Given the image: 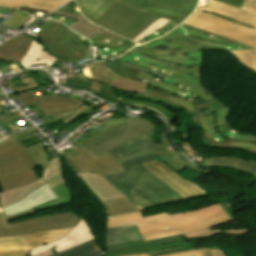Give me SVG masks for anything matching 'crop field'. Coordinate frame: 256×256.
<instances>
[{
	"label": "crop field",
	"mask_w": 256,
	"mask_h": 256,
	"mask_svg": "<svg viewBox=\"0 0 256 256\" xmlns=\"http://www.w3.org/2000/svg\"><path fill=\"white\" fill-rule=\"evenodd\" d=\"M141 164L186 199H193L208 195L206 191L182 179L157 159L143 162Z\"/></svg>",
	"instance_id": "3316defc"
},
{
	"label": "crop field",
	"mask_w": 256,
	"mask_h": 256,
	"mask_svg": "<svg viewBox=\"0 0 256 256\" xmlns=\"http://www.w3.org/2000/svg\"><path fill=\"white\" fill-rule=\"evenodd\" d=\"M0 137H3V136L0 135Z\"/></svg>",
	"instance_id": "0fb4a251"
},
{
	"label": "crop field",
	"mask_w": 256,
	"mask_h": 256,
	"mask_svg": "<svg viewBox=\"0 0 256 256\" xmlns=\"http://www.w3.org/2000/svg\"><path fill=\"white\" fill-rule=\"evenodd\" d=\"M88 66L93 79L99 80L116 89L144 93L147 87L146 83L130 80L128 78L116 75L99 62L88 64Z\"/></svg>",
	"instance_id": "5142ce71"
},
{
	"label": "crop field",
	"mask_w": 256,
	"mask_h": 256,
	"mask_svg": "<svg viewBox=\"0 0 256 256\" xmlns=\"http://www.w3.org/2000/svg\"><path fill=\"white\" fill-rule=\"evenodd\" d=\"M34 209L6 218L0 213V237L19 236L49 229L69 228L82 218L75 213H59L8 224L7 220L34 213Z\"/></svg>",
	"instance_id": "e52e79f7"
},
{
	"label": "crop field",
	"mask_w": 256,
	"mask_h": 256,
	"mask_svg": "<svg viewBox=\"0 0 256 256\" xmlns=\"http://www.w3.org/2000/svg\"><path fill=\"white\" fill-rule=\"evenodd\" d=\"M116 0H76L82 14L95 22ZM139 8L142 13L182 21L193 9L198 0H118Z\"/></svg>",
	"instance_id": "412701ff"
},
{
	"label": "crop field",
	"mask_w": 256,
	"mask_h": 256,
	"mask_svg": "<svg viewBox=\"0 0 256 256\" xmlns=\"http://www.w3.org/2000/svg\"><path fill=\"white\" fill-rule=\"evenodd\" d=\"M68 0H0V5L49 13Z\"/></svg>",
	"instance_id": "214f88e0"
},
{
	"label": "crop field",
	"mask_w": 256,
	"mask_h": 256,
	"mask_svg": "<svg viewBox=\"0 0 256 256\" xmlns=\"http://www.w3.org/2000/svg\"><path fill=\"white\" fill-rule=\"evenodd\" d=\"M185 240L186 239L183 237V235H180V236H174V237H169L164 239L147 241L146 244H143V245L132 246V247H127V248H123V249H119L111 252H106L103 254V256H121L125 254H134V253H150L147 246L167 244V243L185 241ZM136 242H139V241H136ZM130 243H134V242H130ZM124 244H128V243H124ZM119 245H123V244H119ZM114 246H118V245H114ZM108 247H113V246H108Z\"/></svg>",
	"instance_id": "a9b5d70f"
},
{
	"label": "crop field",
	"mask_w": 256,
	"mask_h": 256,
	"mask_svg": "<svg viewBox=\"0 0 256 256\" xmlns=\"http://www.w3.org/2000/svg\"><path fill=\"white\" fill-rule=\"evenodd\" d=\"M6 137H3V138H0V140H3V139H5Z\"/></svg>",
	"instance_id": "1f2cbd36"
},
{
	"label": "crop field",
	"mask_w": 256,
	"mask_h": 256,
	"mask_svg": "<svg viewBox=\"0 0 256 256\" xmlns=\"http://www.w3.org/2000/svg\"><path fill=\"white\" fill-rule=\"evenodd\" d=\"M179 245H185V243L177 242V243H172V244H167V245L151 246V247H149V249L155 250V249H161V248H167V247H173V246H179Z\"/></svg>",
	"instance_id": "c21b1889"
},
{
	"label": "crop field",
	"mask_w": 256,
	"mask_h": 256,
	"mask_svg": "<svg viewBox=\"0 0 256 256\" xmlns=\"http://www.w3.org/2000/svg\"><path fill=\"white\" fill-rule=\"evenodd\" d=\"M0 212H3L1 208H0Z\"/></svg>",
	"instance_id": "dbb93151"
},
{
	"label": "crop field",
	"mask_w": 256,
	"mask_h": 256,
	"mask_svg": "<svg viewBox=\"0 0 256 256\" xmlns=\"http://www.w3.org/2000/svg\"><path fill=\"white\" fill-rule=\"evenodd\" d=\"M23 82L12 86L13 89H15V91H20V90H25L29 87H38L37 84L35 83V81L32 79V77L26 78V79H22ZM29 81L28 84H26L25 82Z\"/></svg>",
	"instance_id": "028f5c9d"
},
{
	"label": "crop field",
	"mask_w": 256,
	"mask_h": 256,
	"mask_svg": "<svg viewBox=\"0 0 256 256\" xmlns=\"http://www.w3.org/2000/svg\"><path fill=\"white\" fill-rule=\"evenodd\" d=\"M109 153L124 170L140 162L156 158L147 134L131 140Z\"/></svg>",
	"instance_id": "5a996713"
},
{
	"label": "crop field",
	"mask_w": 256,
	"mask_h": 256,
	"mask_svg": "<svg viewBox=\"0 0 256 256\" xmlns=\"http://www.w3.org/2000/svg\"><path fill=\"white\" fill-rule=\"evenodd\" d=\"M0 207H1V205H0Z\"/></svg>",
	"instance_id": "9d1cf04e"
},
{
	"label": "crop field",
	"mask_w": 256,
	"mask_h": 256,
	"mask_svg": "<svg viewBox=\"0 0 256 256\" xmlns=\"http://www.w3.org/2000/svg\"><path fill=\"white\" fill-rule=\"evenodd\" d=\"M94 238L84 219L67 236L32 250L31 255L52 248L55 253ZM30 255V256H31Z\"/></svg>",
	"instance_id": "d9b57169"
},
{
	"label": "crop field",
	"mask_w": 256,
	"mask_h": 256,
	"mask_svg": "<svg viewBox=\"0 0 256 256\" xmlns=\"http://www.w3.org/2000/svg\"><path fill=\"white\" fill-rule=\"evenodd\" d=\"M136 224L107 229L106 246L124 242L142 240Z\"/></svg>",
	"instance_id": "dafd665d"
},
{
	"label": "crop field",
	"mask_w": 256,
	"mask_h": 256,
	"mask_svg": "<svg viewBox=\"0 0 256 256\" xmlns=\"http://www.w3.org/2000/svg\"><path fill=\"white\" fill-rule=\"evenodd\" d=\"M38 77L40 78L43 85L47 84V86L54 84L53 79L50 77V75L47 72L40 71L37 72Z\"/></svg>",
	"instance_id": "e1f06a70"
},
{
	"label": "crop field",
	"mask_w": 256,
	"mask_h": 256,
	"mask_svg": "<svg viewBox=\"0 0 256 256\" xmlns=\"http://www.w3.org/2000/svg\"><path fill=\"white\" fill-rule=\"evenodd\" d=\"M61 177H63V176H60L48 183L36 188L32 192L25 195L27 198L15 203L11 206L2 208L6 217L23 212V211L30 210L32 208H36L40 205H43L45 203H48L52 200L57 199V196L54 194V192L51 190L50 187L60 183ZM63 181H65L64 178H63Z\"/></svg>",
	"instance_id": "cbeb9de0"
},
{
	"label": "crop field",
	"mask_w": 256,
	"mask_h": 256,
	"mask_svg": "<svg viewBox=\"0 0 256 256\" xmlns=\"http://www.w3.org/2000/svg\"><path fill=\"white\" fill-rule=\"evenodd\" d=\"M64 157L77 175L86 171L107 175H115L124 171L108 152L95 157L83 145Z\"/></svg>",
	"instance_id": "d8731c3e"
},
{
	"label": "crop field",
	"mask_w": 256,
	"mask_h": 256,
	"mask_svg": "<svg viewBox=\"0 0 256 256\" xmlns=\"http://www.w3.org/2000/svg\"><path fill=\"white\" fill-rule=\"evenodd\" d=\"M184 24H188L256 49V14L235 6L207 0Z\"/></svg>",
	"instance_id": "ac0d7876"
},
{
	"label": "crop field",
	"mask_w": 256,
	"mask_h": 256,
	"mask_svg": "<svg viewBox=\"0 0 256 256\" xmlns=\"http://www.w3.org/2000/svg\"><path fill=\"white\" fill-rule=\"evenodd\" d=\"M27 149H28L35 165L36 166H41L42 171H43L44 168H45V165L47 163V160H46V157H45V153H44L42 144L39 143V144L30 146Z\"/></svg>",
	"instance_id": "d32e631a"
},
{
	"label": "crop field",
	"mask_w": 256,
	"mask_h": 256,
	"mask_svg": "<svg viewBox=\"0 0 256 256\" xmlns=\"http://www.w3.org/2000/svg\"><path fill=\"white\" fill-rule=\"evenodd\" d=\"M54 14L67 16V17H72V18L77 19L78 21L71 24V26H69V27L73 28L74 30L78 31L79 33L83 34L84 36H86L88 38L90 36L94 35L95 33L102 30V28L90 23L89 21H87L83 17L68 14V13H64V12H60V11H56V12H54Z\"/></svg>",
	"instance_id": "ae1a2a85"
},
{
	"label": "crop field",
	"mask_w": 256,
	"mask_h": 256,
	"mask_svg": "<svg viewBox=\"0 0 256 256\" xmlns=\"http://www.w3.org/2000/svg\"><path fill=\"white\" fill-rule=\"evenodd\" d=\"M249 230L250 229L222 230L221 231L220 228L213 229V230H211L209 228V229H205V230H201V231L185 234L184 237L187 240H189V239L208 237V236H212V235H215V234H218V233H221V232L228 233L230 235H243V234L249 232Z\"/></svg>",
	"instance_id": "750c4746"
},
{
	"label": "crop field",
	"mask_w": 256,
	"mask_h": 256,
	"mask_svg": "<svg viewBox=\"0 0 256 256\" xmlns=\"http://www.w3.org/2000/svg\"><path fill=\"white\" fill-rule=\"evenodd\" d=\"M143 243H145V242L143 241V242H139V243H135V244H129V245H123V246H118V247H113V248H107V249H105L104 252L110 251V250H114V249H118V248H122V247H127V246H132V245L143 244Z\"/></svg>",
	"instance_id": "d23c7cc5"
},
{
	"label": "crop field",
	"mask_w": 256,
	"mask_h": 256,
	"mask_svg": "<svg viewBox=\"0 0 256 256\" xmlns=\"http://www.w3.org/2000/svg\"><path fill=\"white\" fill-rule=\"evenodd\" d=\"M153 129H155V126L152 123H150L149 121L144 119L140 124H138L136 126V128L134 130H132L127 135L118 137L100 147H97V148L91 150L90 152L93 153L95 156H97V155L104 153L106 151H109V150L131 140V139H134L136 137L144 135V134L152 131Z\"/></svg>",
	"instance_id": "92a150f3"
},
{
	"label": "crop field",
	"mask_w": 256,
	"mask_h": 256,
	"mask_svg": "<svg viewBox=\"0 0 256 256\" xmlns=\"http://www.w3.org/2000/svg\"><path fill=\"white\" fill-rule=\"evenodd\" d=\"M140 12L116 1L95 24L131 40L157 19Z\"/></svg>",
	"instance_id": "dd49c442"
},
{
	"label": "crop field",
	"mask_w": 256,
	"mask_h": 256,
	"mask_svg": "<svg viewBox=\"0 0 256 256\" xmlns=\"http://www.w3.org/2000/svg\"><path fill=\"white\" fill-rule=\"evenodd\" d=\"M54 254L53 250L50 249V250H47V251H44V252H41V253H38L36 255H33V256H50Z\"/></svg>",
	"instance_id": "5d738f31"
},
{
	"label": "crop field",
	"mask_w": 256,
	"mask_h": 256,
	"mask_svg": "<svg viewBox=\"0 0 256 256\" xmlns=\"http://www.w3.org/2000/svg\"><path fill=\"white\" fill-rule=\"evenodd\" d=\"M126 256H150V254H135ZM160 256H215V253L213 249L210 248H199Z\"/></svg>",
	"instance_id": "1d83c4d3"
},
{
	"label": "crop field",
	"mask_w": 256,
	"mask_h": 256,
	"mask_svg": "<svg viewBox=\"0 0 256 256\" xmlns=\"http://www.w3.org/2000/svg\"><path fill=\"white\" fill-rule=\"evenodd\" d=\"M44 182L41 181L40 179L19 187V188H15V189H11V190H7V191H3L2 193H0V203L3 206H7L10 205L18 200H21L23 198H25V194H27L28 192H30L31 190L35 189L36 187H38L39 185L43 184Z\"/></svg>",
	"instance_id": "eef30255"
},
{
	"label": "crop field",
	"mask_w": 256,
	"mask_h": 256,
	"mask_svg": "<svg viewBox=\"0 0 256 256\" xmlns=\"http://www.w3.org/2000/svg\"><path fill=\"white\" fill-rule=\"evenodd\" d=\"M102 176L140 210L154 205L184 200L182 196L141 164L117 176Z\"/></svg>",
	"instance_id": "34b2d1b8"
},
{
	"label": "crop field",
	"mask_w": 256,
	"mask_h": 256,
	"mask_svg": "<svg viewBox=\"0 0 256 256\" xmlns=\"http://www.w3.org/2000/svg\"><path fill=\"white\" fill-rule=\"evenodd\" d=\"M127 123H123L117 125L115 127L109 128L105 131H101L91 137L87 138L86 140L80 142L89 150L109 141L118 136L126 134Z\"/></svg>",
	"instance_id": "4177f3b9"
},
{
	"label": "crop field",
	"mask_w": 256,
	"mask_h": 256,
	"mask_svg": "<svg viewBox=\"0 0 256 256\" xmlns=\"http://www.w3.org/2000/svg\"><path fill=\"white\" fill-rule=\"evenodd\" d=\"M30 251L25 252L24 250L20 251H11V252H2L0 256H28Z\"/></svg>",
	"instance_id": "b80d0937"
},
{
	"label": "crop field",
	"mask_w": 256,
	"mask_h": 256,
	"mask_svg": "<svg viewBox=\"0 0 256 256\" xmlns=\"http://www.w3.org/2000/svg\"><path fill=\"white\" fill-rule=\"evenodd\" d=\"M78 177L101 202L124 197L101 175L84 173Z\"/></svg>",
	"instance_id": "733c2abd"
},
{
	"label": "crop field",
	"mask_w": 256,
	"mask_h": 256,
	"mask_svg": "<svg viewBox=\"0 0 256 256\" xmlns=\"http://www.w3.org/2000/svg\"><path fill=\"white\" fill-rule=\"evenodd\" d=\"M72 229L73 228L57 229L27 234L19 237L0 238V252L20 249L28 251L44 243L61 238Z\"/></svg>",
	"instance_id": "d1516ede"
},
{
	"label": "crop field",
	"mask_w": 256,
	"mask_h": 256,
	"mask_svg": "<svg viewBox=\"0 0 256 256\" xmlns=\"http://www.w3.org/2000/svg\"><path fill=\"white\" fill-rule=\"evenodd\" d=\"M20 114H21L20 112H16V113L5 114L4 116L11 117V116H16V115H20ZM0 115H2L1 109H0Z\"/></svg>",
	"instance_id": "425ffa30"
},
{
	"label": "crop field",
	"mask_w": 256,
	"mask_h": 256,
	"mask_svg": "<svg viewBox=\"0 0 256 256\" xmlns=\"http://www.w3.org/2000/svg\"><path fill=\"white\" fill-rule=\"evenodd\" d=\"M48 162L49 164L42 177L40 178L45 182L63 174L59 156L53 158Z\"/></svg>",
	"instance_id": "bd1437ed"
},
{
	"label": "crop field",
	"mask_w": 256,
	"mask_h": 256,
	"mask_svg": "<svg viewBox=\"0 0 256 256\" xmlns=\"http://www.w3.org/2000/svg\"><path fill=\"white\" fill-rule=\"evenodd\" d=\"M102 248L97 245L95 239L69 248L52 256H100Z\"/></svg>",
	"instance_id": "730fd06b"
},
{
	"label": "crop field",
	"mask_w": 256,
	"mask_h": 256,
	"mask_svg": "<svg viewBox=\"0 0 256 256\" xmlns=\"http://www.w3.org/2000/svg\"><path fill=\"white\" fill-rule=\"evenodd\" d=\"M57 60V58L52 57L44 50V46L33 39L32 45L24 56V58L19 62L20 67L29 68L30 65L37 63H47V67H51L52 64Z\"/></svg>",
	"instance_id": "00972430"
},
{
	"label": "crop field",
	"mask_w": 256,
	"mask_h": 256,
	"mask_svg": "<svg viewBox=\"0 0 256 256\" xmlns=\"http://www.w3.org/2000/svg\"><path fill=\"white\" fill-rule=\"evenodd\" d=\"M123 122H125V118H123V119H114V120L105 122L104 124L101 125L102 127H100V128L102 130H105L109 127H112L114 125H117V124H120V123H123Z\"/></svg>",
	"instance_id": "0bd39190"
},
{
	"label": "crop field",
	"mask_w": 256,
	"mask_h": 256,
	"mask_svg": "<svg viewBox=\"0 0 256 256\" xmlns=\"http://www.w3.org/2000/svg\"><path fill=\"white\" fill-rule=\"evenodd\" d=\"M231 221L219 203L198 210L168 216L164 213L143 217L141 212L108 218L109 227L137 223L145 241L185 234Z\"/></svg>",
	"instance_id": "8a807250"
},
{
	"label": "crop field",
	"mask_w": 256,
	"mask_h": 256,
	"mask_svg": "<svg viewBox=\"0 0 256 256\" xmlns=\"http://www.w3.org/2000/svg\"><path fill=\"white\" fill-rule=\"evenodd\" d=\"M245 9L256 12V0H247L245 3Z\"/></svg>",
	"instance_id": "03da06ac"
},
{
	"label": "crop field",
	"mask_w": 256,
	"mask_h": 256,
	"mask_svg": "<svg viewBox=\"0 0 256 256\" xmlns=\"http://www.w3.org/2000/svg\"><path fill=\"white\" fill-rule=\"evenodd\" d=\"M39 179L26 148L13 140L0 146V185L3 190Z\"/></svg>",
	"instance_id": "f4fd0767"
},
{
	"label": "crop field",
	"mask_w": 256,
	"mask_h": 256,
	"mask_svg": "<svg viewBox=\"0 0 256 256\" xmlns=\"http://www.w3.org/2000/svg\"><path fill=\"white\" fill-rule=\"evenodd\" d=\"M11 107V106H10ZM3 108H5V107H3Z\"/></svg>",
	"instance_id": "1d79db26"
},
{
	"label": "crop field",
	"mask_w": 256,
	"mask_h": 256,
	"mask_svg": "<svg viewBox=\"0 0 256 256\" xmlns=\"http://www.w3.org/2000/svg\"><path fill=\"white\" fill-rule=\"evenodd\" d=\"M103 205L107 211L108 216H115L139 210L126 198L105 202Z\"/></svg>",
	"instance_id": "d3111659"
},
{
	"label": "crop field",
	"mask_w": 256,
	"mask_h": 256,
	"mask_svg": "<svg viewBox=\"0 0 256 256\" xmlns=\"http://www.w3.org/2000/svg\"><path fill=\"white\" fill-rule=\"evenodd\" d=\"M238 61L256 72V50L231 52Z\"/></svg>",
	"instance_id": "120bbe31"
},
{
	"label": "crop field",
	"mask_w": 256,
	"mask_h": 256,
	"mask_svg": "<svg viewBox=\"0 0 256 256\" xmlns=\"http://www.w3.org/2000/svg\"><path fill=\"white\" fill-rule=\"evenodd\" d=\"M32 37L21 33L0 46V61L18 63L29 49Z\"/></svg>",
	"instance_id": "4a817a6b"
},
{
	"label": "crop field",
	"mask_w": 256,
	"mask_h": 256,
	"mask_svg": "<svg viewBox=\"0 0 256 256\" xmlns=\"http://www.w3.org/2000/svg\"><path fill=\"white\" fill-rule=\"evenodd\" d=\"M0 96H5L4 93H0Z\"/></svg>",
	"instance_id": "89e229c0"
},
{
	"label": "crop field",
	"mask_w": 256,
	"mask_h": 256,
	"mask_svg": "<svg viewBox=\"0 0 256 256\" xmlns=\"http://www.w3.org/2000/svg\"><path fill=\"white\" fill-rule=\"evenodd\" d=\"M199 164V163H198ZM203 166L230 168L256 176V160L237 157H210L205 159Z\"/></svg>",
	"instance_id": "bc2a9ffb"
},
{
	"label": "crop field",
	"mask_w": 256,
	"mask_h": 256,
	"mask_svg": "<svg viewBox=\"0 0 256 256\" xmlns=\"http://www.w3.org/2000/svg\"><path fill=\"white\" fill-rule=\"evenodd\" d=\"M214 251H215V253H216V256H225V255L223 254V252H221L220 250H215V249H214Z\"/></svg>",
	"instance_id": "25e5ab78"
},
{
	"label": "crop field",
	"mask_w": 256,
	"mask_h": 256,
	"mask_svg": "<svg viewBox=\"0 0 256 256\" xmlns=\"http://www.w3.org/2000/svg\"><path fill=\"white\" fill-rule=\"evenodd\" d=\"M169 20H165V19H161L158 18L153 24H151L147 29H145L142 33H140L138 36H136L134 39H132V41L136 42L142 38H144L145 36L153 33L154 31H156L158 28H160L162 25H164L165 23H167Z\"/></svg>",
	"instance_id": "5866460e"
},
{
	"label": "crop field",
	"mask_w": 256,
	"mask_h": 256,
	"mask_svg": "<svg viewBox=\"0 0 256 256\" xmlns=\"http://www.w3.org/2000/svg\"><path fill=\"white\" fill-rule=\"evenodd\" d=\"M11 140H13V139L7 138V139H5V140H3V141H0V145H1V144H4V143H6V142H9V141H11Z\"/></svg>",
	"instance_id": "73cf0c24"
},
{
	"label": "crop field",
	"mask_w": 256,
	"mask_h": 256,
	"mask_svg": "<svg viewBox=\"0 0 256 256\" xmlns=\"http://www.w3.org/2000/svg\"><path fill=\"white\" fill-rule=\"evenodd\" d=\"M148 135L150 137L157 159L165 163L174 172L177 173L182 169L188 167L201 173H205L208 175L210 174L211 171L195 167L185 157H183L181 153L173 147L168 137V134L164 132V130L162 135H160V141H157V143L155 144L153 143V131L148 133Z\"/></svg>",
	"instance_id": "28ad6ade"
},
{
	"label": "crop field",
	"mask_w": 256,
	"mask_h": 256,
	"mask_svg": "<svg viewBox=\"0 0 256 256\" xmlns=\"http://www.w3.org/2000/svg\"><path fill=\"white\" fill-rule=\"evenodd\" d=\"M143 119L142 118H137L136 120H133V119H128L126 118V122H128V129H127V133L129 131H131L133 128H135V126L141 122Z\"/></svg>",
	"instance_id": "c035e120"
},
{
	"label": "crop field",
	"mask_w": 256,
	"mask_h": 256,
	"mask_svg": "<svg viewBox=\"0 0 256 256\" xmlns=\"http://www.w3.org/2000/svg\"><path fill=\"white\" fill-rule=\"evenodd\" d=\"M18 97H21L26 104L39 102L40 110H43L45 116L76 109L84 103V101L62 96H41L35 98L32 90L15 93L10 96L11 99Z\"/></svg>",
	"instance_id": "22f410ed"
},
{
	"label": "crop field",
	"mask_w": 256,
	"mask_h": 256,
	"mask_svg": "<svg viewBox=\"0 0 256 256\" xmlns=\"http://www.w3.org/2000/svg\"><path fill=\"white\" fill-rule=\"evenodd\" d=\"M217 1L232 4V5L238 6L240 8H242V4L244 2V0H217Z\"/></svg>",
	"instance_id": "b54c1fbb"
}]
</instances>
